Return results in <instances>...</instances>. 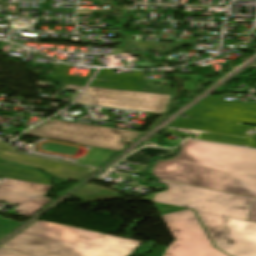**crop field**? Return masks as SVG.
<instances>
[{"instance_id": "crop-field-1", "label": "crop field", "mask_w": 256, "mask_h": 256, "mask_svg": "<svg viewBox=\"0 0 256 256\" xmlns=\"http://www.w3.org/2000/svg\"><path fill=\"white\" fill-rule=\"evenodd\" d=\"M151 173L157 179L256 198V150L252 149L187 140L178 156L157 160ZM247 220L256 222V201Z\"/></svg>"}, {"instance_id": "crop-field-2", "label": "crop field", "mask_w": 256, "mask_h": 256, "mask_svg": "<svg viewBox=\"0 0 256 256\" xmlns=\"http://www.w3.org/2000/svg\"><path fill=\"white\" fill-rule=\"evenodd\" d=\"M141 243L37 221L3 247L31 256H128Z\"/></svg>"}, {"instance_id": "crop-field-3", "label": "crop field", "mask_w": 256, "mask_h": 256, "mask_svg": "<svg viewBox=\"0 0 256 256\" xmlns=\"http://www.w3.org/2000/svg\"><path fill=\"white\" fill-rule=\"evenodd\" d=\"M24 134L121 151L125 148L123 142L128 143L133 141L141 132L52 119Z\"/></svg>"}, {"instance_id": "crop-field-4", "label": "crop field", "mask_w": 256, "mask_h": 256, "mask_svg": "<svg viewBox=\"0 0 256 256\" xmlns=\"http://www.w3.org/2000/svg\"><path fill=\"white\" fill-rule=\"evenodd\" d=\"M174 237L163 256H227L215 249L193 210L162 216Z\"/></svg>"}, {"instance_id": "crop-field-5", "label": "crop field", "mask_w": 256, "mask_h": 256, "mask_svg": "<svg viewBox=\"0 0 256 256\" xmlns=\"http://www.w3.org/2000/svg\"><path fill=\"white\" fill-rule=\"evenodd\" d=\"M174 129L199 133L195 137L175 132ZM166 134L256 147L255 126L181 117L168 128Z\"/></svg>"}, {"instance_id": "crop-field-6", "label": "crop field", "mask_w": 256, "mask_h": 256, "mask_svg": "<svg viewBox=\"0 0 256 256\" xmlns=\"http://www.w3.org/2000/svg\"><path fill=\"white\" fill-rule=\"evenodd\" d=\"M172 97L87 87L76 103L164 114Z\"/></svg>"}, {"instance_id": "crop-field-7", "label": "crop field", "mask_w": 256, "mask_h": 256, "mask_svg": "<svg viewBox=\"0 0 256 256\" xmlns=\"http://www.w3.org/2000/svg\"><path fill=\"white\" fill-rule=\"evenodd\" d=\"M158 182H162L168 186L165 193L222 201V217L206 228L213 242L224 235L225 216L246 220L250 205L256 200L242 195L168 181L158 180Z\"/></svg>"}, {"instance_id": "crop-field-8", "label": "crop field", "mask_w": 256, "mask_h": 256, "mask_svg": "<svg viewBox=\"0 0 256 256\" xmlns=\"http://www.w3.org/2000/svg\"><path fill=\"white\" fill-rule=\"evenodd\" d=\"M210 96L184 114L187 117L256 125V104L223 101Z\"/></svg>"}, {"instance_id": "crop-field-9", "label": "crop field", "mask_w": 256, "mask_h": 256, "mask_svg": "<svg viewBox=\"0 0 256 256\" xmlns=\"http://www.w3.org/2000/svg\"><path fill=\"white\" fill-rule=\"evenodd\" d=\"M50 187V185L3 178L0 182V200L20 204L16 208L18 214L30 216L51 200L43 197Z\"/></svg>"}, {"instance_id": "crop-field-10", "label": "crop field", "mask_w": 256, "mask_h": 256, "mask_svg": "<svg viewBox=\"0 0 256 256\" xmlns=\"http://www.w3.org/2000/svg\"><path fill=\"white\" fill-rule=\"evenodd\" d=\"M214 243L230 256H256V223L226 217L225 235Z\"/></svg>"}, {"instance_id": "crop-field-11", "label": "crop field", "mask_w": 256, "mask_h": 256, "mask_svg": "<svg viewBox=\"0 0 256 256\" xmlns=\"http://www.w3.org/2000/svg\"><path fill=\"white\" fill-rule=\"evenodd\" d=\"M13 150L14 149L10 146L0 142V158L23 165L41 168L58 178L79 181L95 170V168L23 155Z\"/></svg>"}, {"instance_id": "crop-field-12", "label": "crop field", "mask_w": 256, "mask_h": 256, "mask_svg": "<svg viewBox=\"0 0 256 256\" xmlns=\"http://www.w3.org/2000/svg\"><path fill=\"white\" fill-rule=\"evenodd\" d=\"M153 201L195 209L205 228L221 217V202L156 193Z\"/></svg>"}, {"instance_id": "crop-field-13", "label": "crop field", "mask_w": 256, "mask_h": 256, "mask_svg": "<svg viewBox=\"0 0 256 256\" xmlns=\"http://www.w3.org/2000/svg\"><path fill=\"white\" fill-rule=\"evenodd\" d=\"M89 86L109 88V89L118 88L121 90L168 94V95H174V91H175V88H169V87L143 85V84H132V83L109 82V81H98V80H92V82L89 84Z\"/></svg>"}, {"instance_id": "crop-field-14", "label": "crop field", "mask_w": 256, "mask_h": 256, "mask_svg": "<svg viewBox=\"0 0 256 256\" xmlns=\"http://www.w3.org/2000/svg\"><path fill=\"white\" fill-rule=\"evenodd\" d=\"M0 176L23 181L37 182L48 184L47 177L39 171H30L0 163Z\"/></svg>"}, {"instance_id": "crop-field-15", "label": "crop field", "mask_w": 256, "mask_h": 256, "mask_svg": "<svg viewBox=\"0 0 256 256\" xmlns=\"http://www.w3.org/2000/svg\"><path fill=\"white\" fill-rule=\"evenodd\" d=\"M94 79L148 84L147 80H144L142 72L113 75L111 70L102 69L98 71Z\"/></svg>"}, {"instance_id": "crop-field-16", "label": "crop field", "mask_w": 256, "mask_h": 256, "mask_svg": "<svg viewBox=\"0 0 256 256\" xmlns=\"http://www.w3.org/2000/svg\"><path fill=\"white\" fill-rule=\"evenodd\" d=\"M54 83L60 84H70V85H78V86H85L88 79L83 78H71V77H59V76H45Z\"/></svg>"}, {"instance_id": "crop-field-17", "label": "crop field", "mask_w": 256, "mask_h": 256, "mask_svg": "<svg viewBox=\"0 0 256 256\" xmlns=\"http://www.w3.org/2000/svg\"><path fill=\"white\" fill-rule=\"evenodd\" d=\"M153 204L159 210L161 215L166 214V213H170V212H174V211H178V210H182V209H186V208H182V207H176V206L160 204V203H155V202H153Z\"/></svg>"}, {"instance_id": "crop-field-18", "label": "crop field", "mask_w": 256, "mask_h": 256, "mask_svg": "<svg viewBox=\"0 0 256 256\" xmlns=\"http://www.w3.org/2000/svg\"><path fill=\"white\" fill-rule=\"evenodd\" d=\"M68 68L69 66L67 65H63L60 68L52 67V69H55L54 75H60V76H69V75H65ZM72 77H75V76H72Z\"/></svg>"}, {"instance_id": "crop-field-19", "label": "crop field", "mask_w": 256, "mask_h": 256, "mask_svg": "<svg viewBox=\"0 0 256 256\" xmlns=\"http://www.w3.org/2000/svg\"><path fill=\"white\" fill-rule=\"evenodd\" d=\"M0 256H25V255L0 248Z\"/></svg>"}, {"instance_id": "crop-field-20", "label": "crop field", "mask_w": 256, "mask_h": 256, "mask_svg": "<svg viewBox=\"0 0 256 256\" xmlns=\"http://www.w3.org/2000/svg\"><path fill=\"white\" fill-rule=\"evenodd\" d=\"M64 88H71V89H82L83 87L65 85V87H64Z\"/></svg>"}, {"instance_id": "crop-field-21", "label": "crop field", "mask_w": 256, "mask_h": 256, "mask_svg": "<svg viewBox=\"0 0 256 256\" xmlns=\"http://www.w3.org/2000/svg\"><path fill=\"white\" fill-rule=\"evenodd\" d=\"M78 94V92H75V94L73 95V97L71 98L70 101H73V99L75 98V96Z\"/></svg>"}]
</instances>
